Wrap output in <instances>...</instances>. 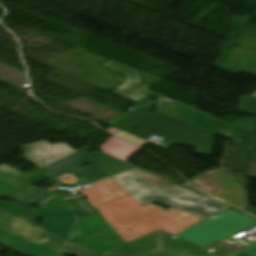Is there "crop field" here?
<instances>
[{
	"mask_svg": "<svg viewBox=\"0 0 256 256\" xmlns=\"http://www.w3.org/2000/svg\"><path fill=\"white\" fill-rule=\"evenodd\" d=\"M19 175L22 174L11 167L0 165V181L15 188L12 190L0 183V197L8 195V198L28 205L43 201L41 206L37 210L14 201L1 200L0 209L98 254L125 244L100 213L80 217L73 213V210L84 214L97 212L88 200L81 196L63 200L49 191L21 183L14 178ZM39 217L43 226L35 223ZM84 232H99L107 236H83Z\"/></svg>",
	"mask_w": 256,
	"mask_h": 256,
	"instance_id": "obj_1",
	"label": "crop field"
},
{
	"mask_svg": "<svg viewBox=\"0 0 256 256\" xmlns=\"http://www.w3.org/2000/svg\"><path fill=\"white\" fill-rule=\"evenodd\" d=\"M89 186L79 191L126 243L159 229L175 235L202 221L173 208L161 213L153 202L141 206L112 178Z\"/></svg>",
	"mask_w": 256,
	"mask_h": 256,
	"instance_id": "obj_2",
	"label": "crop field"
},
{
	"mask_svg": "<svg viewBox=\"0 0 256 256\" xmlns=\"http://www.w3.org/2000/svg\"><path fill=\"white\" fill-rule=\"evenodd\" d=\"M20 148L31 162L71 187L85 185L136 168L104 152L90 154V146L75 151L64 142L52 145L43 140ZM90 162L96 165L77 169Z\"/></svg>",
	"mask_w": 256,
	"mask_h": 256,
	"instance_id": "obj_3",
	"label": "crop field"
},
{
	"mask_svg": "<svg viewBox=\"0 0 256 256\" xmlns=\"http://www.w3.org/2000/svg\"><path fill=\"white\" fill-rule=\"evenodd\" d=\"M147 107L130 112L108 125L131 128L139 123H143L138 128L132 130L135 136L146 139L154 134L163 138L160 142L170 143L175 141L179 144L197 148L195 152L208 154L213 146L214 135L195 126H191L182 121L157 112L152 114L145 111Z\"/></svg>",
	"mask_w": 256,
	"mask_h": 256,
	"instance_id": "obj_4",
	"label": "crop field"
},
{
	"mask_svg": "<svg viewBox=\"0 0 256 256\" xmlns=\"http://www.w3.org/2000/svg\"><path fill=\"white\" fill-rule=\"evenodd\" d=\"M141 175L142 171L137 169L133 172L114 177L113 179L119 183L130 195H132L141 205L156 200L202 220L227 208L210 199L200 203H183L173 201V199L191 192L188 189L177 188L171 191H167L165 189L160 190L151 182L140 187H136L130 180Z\"/></svg>",
	"mask_w": 256,
	"mask_h": 256,
	"instance_id": "obj_5",
	"label": "crop field"
},
{
	"mask_svg": "<svg viewBox=\"0 0 256 256\" xmlns=\"http://www.w3.org/2000/svg\"><path fill=\"white\" fill-rule=\"evenodd\" d=\"M162 230L101 254L102 256H218Z\"/></svg>",
	"mask_w": 256,
	"mask_h": 256,
	"instance_id": "obj_6",
	"label": "crop field"
},
{
	"mask_svg": "<svg viewBox=\"0 0 256 256\" xmlns=\"http://www.w3.org/2000/svg\"><path fill=\"white\" fill-rule=\"evenodd\" d=\"M253 224H256L255 219L227 210L176 236L203 247Z\"/></svg>",
	"mask_w": 256,
	"mask_h": 256,
	"instance_id": "obj_7",
	"label": "crop field"
},
{
	"mask_svg": "<svg viewBox=\"0 0 256 256\" xmlns=\"http://www.w3.org/2000/svg\"><path fill=\"white\" fill-rule=\"evenodd\" d=\"M105 66L123 72L127 75L126 82L114 91L115 94L135 102L145 98L151 93L160 96V101L156 109L157 111L192 125L194 113L193 108L146 90L150 86L141 83L137 71L131 67L119 64L113 60L109 61Z\"/></svg>",
	"mask_w": 256,
	"mask_h": 256,
	"instance_id": "obj_8",
	"label": "crop field"
},
{
	"mask_svg": "<svg viewBox=\"0 0 256 256\" xmlns=\"http://www.w3.org/2000/svg\"><path fill=\"white\" fill-rule=\"evenodd\" d=\"M0 226L19 233L23 237L57 253H63L68 242L61 237L40 229L2 210H0Z\"/></svg>",
	"mask_w": 256,
	"mask_h": 256,
	"instance_id": "obj_9",
	"label": "crop field"
},
{
	"mask_svg": "<svg viewBox=\"0 0 256 256\" xmlns=\"http://www.w3.org/2000/svg\"><path fill=\"white\" fill-rule=\"evenodd\" d=\"M234 180L230 176L214 171L211 185L221 190L210 195L243 209L248 205L247 191Z\"/></svg>",
	"mask_w": 256,
	"mask_h": 256,
	"instance_id": "obj_10",
	"label": "crop field"
},
{
	"mask_svg": "<svg viewBox=\"0 0 256 256\" xmlns=\"http://www.w3.org/2000/svg\"><path fill=\"white\" fill-rule=\"evenodd\" d=\"M195 125L212 132L228 135L246 147L253 148L254 146L253 132L250 133L240 127L214 119L199 111L196 112Z\"/></svg>",
	"mask_w": 256,
	"mask_h": 256,
	"instance_id": "obj_11",
	"label": "crop field"
},
{
	"mask_svg": "<svg viewBox=\"0 0 256 256\" xmlns=\"http://www.w3.org/2000/svg\"><path fill=\"white\" fill-rule=\"evenodd\" d=\"M0 243L27 256H62L0 227Z\"/></svg>",
	"mask_w": 256,
	"mask_h": 256,
	"instance_id": "obj_12",
	"label": "crop field"
},
{
	"mask_svg": "<svg viewBox=\"0 0 256 256\" xmlns=\"http://www.w3.org/2000/svg\"><path fill=\"white\" fill-rule=\"evenodd\" d=\"M140 169V168H139ZM151 181L152 183H154L157 187H159L160 189L162 188H165L167 190H170V189H173V188H177V187H181V188H185V187H182V186H179L177 184H174V183H171V182H168L160 177H157L151 173H148L146 171L143 170V176L137 178V179H134L132 180V182L136 185V186H140L144 183H147ZM207 199L206 197L196 193V192H191L187 195H184L182 197H179L175 200H178V201H184V202H200V201H203Z\"/></svg>",
	"mask_w": 256,
	"mask_h": 256,
	"instance_id": "obj_13",
	"label": "crop field"
},
{
	"mask_svg": "<svg viewBox=\"0 0 256 256\" xmlns=\"http://www.w3.org/2000/svg\"><path fill=\"white\" fill-rule=\"evenodd\" d=\"M101 148L104 152L123 161L127 160L136 150L139 149L114 136H112Z\"/></svg>",
	"mask_w": 256,
	"mask_h": 256,
	"instance_id": "obj_14",
	"label": "crop field"
},
{
	"mask_svg": "<svg viewBox=\"0 0 256 256\" xmlns=\"http://www.w3.org/2000/svg\"><path fill=\"white\" fill-rule=\"evenodd\" d=\"M65 254L74 256H100L71 242L69 243Z\"/></svg>",
	"mask_w": 256,
	"mask_h": 256,
	"instance_id": "obj_15",
	"label": "crop field"
},
{
	"mask_svg": "<svg viewBox=\"0 0 256 256\" xmlns=\"http://www.w3.org/2000/svg\"><path fill=\"white\" fill-rule=\"evenodd\" d=\"M239 251L246 253L250 256H256V242L240 249Z\"/></svg>",
	"mask_w": 256,
	"mask_h": 256,
	"instance_id": "obj_16",
	"label": "crop field"
},
{
	"mask_svg": "<svg viewBox=\"0 0 256 256\" xmlns=\"http://www.w3.org/2000/svg\"><path fill=\"white\" fill-rule=\"evenodd\" d=\"M246 208H247V207H246ZM245 211L256 215V209L253 208V207H251V206H249L247 209H245Z\"/></svg>",
	"mask_w": 256,
	"mask_h": 256,
	"instance_id": "obj_17",
	"label": "crop field"
},
{
	"mask_svg": "<svg viewBox=\"0 0 256 256\" xmlns=\"http://www.w3.org/2000/svg\"><path fill=\"white\" fill-rule=\"evenodd\" d=\"M229 256H248V255L243 254V253L237 251V252H235V253H233V254H231V255H229Z\"/></svg>",
	"mask_w": 256,
	"mask_h": 256,
	"instance_id": "obj_18",
	"label": "crop field"
},
{
	"mask_svg": "<svg viewBox=\"0 0 256 256\" xmlns=\"http://www.w3.org/2000/svg\"><path fill=\"white\" fill-rule=\"evenodd\" d=\"M256 239L255 238H253V237H250V238H247V239H243V241H246V242H248V243H251V242H253V241H255Z\"/></svg>",
	"mask_w": 256,
	"mask_h": 256,
	"instance_id": "obj_19",
	"label": "crop field"
},
{
	"mask_svg": "<svg viewBox=\"0 0 256 256\" xmlns=\"http://www.w3.org/2000/svg\"><path fill=\"white\" fill-rule=\"evenodd\" d=\"M219 171V170H218ZM221 172V171H220ZM226 174V173H225ZM227 175H229V174H227ZM230 176H232V175H230ZM232 177H234L235 178V176H232Z\"/></svg>",
	"mask_w": 256,
	"mask_h": 256,
	"instance_id": "obj_20",
	"label": "crop field"
},
{
	"mask_svg": "<svg viewBox=\"0 0 256 256\" xmlns=\"http://www.w3.org/2000/svg\"><path fill=\"white\" fill-rule=\"evenodd\" d=\"M252 96L256 97V93L254 95H252Z\"/></svg>",
	"mask_w": 256,
	"mask_h": 256,
	"instance_id": "obj_21",
	"label": "crop field"
}]
</instances>
